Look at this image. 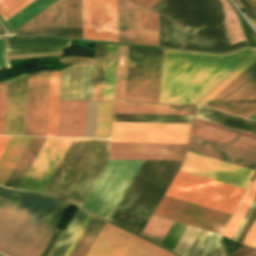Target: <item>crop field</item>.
Instances as JSON below:
<instances>
[{
  "label": "crop field",
  "mask_w": 256,
  "mask_h": 256,
  "mask_svg": "<svg viewBox=\"0 0 256 256\" xmlns=\"http://www.w3.org/2000/svg\"><path fill=\"white\" fill-rule=\"evenodd\" d=\"M5 188L4 187H0V197L2 195V193L4 192Z\"/></svg>",
  "instance_id": "65"
},
{
  "label": "crop field",
  "mask_w": 256,
  "mask_h": 256,
  "mask_svg": "<svg viewBox=\"0 0 256 256\" xmlns=\"http://www.w3.org/2000/svg\"><path fill=\"white\" fill-rule=\"evenodd\" d=\"M8 51H31L54 49L70 45V40L52 38H29V39H8L5 40Z\"/></svg>",
  "instance_id": "31"
},
{
  "label": "crop field",
  "mask_w": 256,
  "mask_h": 256,
  "mask_svg": "<svg viewBox=\"0 0 256 256\" xmlns=\"http://www.w3.org/2000/svg\"><path fill=\"white\" fill-rule=\"evenodd\" d=\"M9 34L6 32V30L3 28V26L0 23V36H8Z\"/></svg>",
  "instance_id": "64"
},
{
  "label": "crop field",
  "mask_w": 256,
  "mask_h": 256,
  "mask_svg": "<svg viewBox=\"0 0 256 256\" xmlns=\"http://www.w3.org/2000/svg\"><path fill=\"white\" fill-rule=\"evenodd\" d=\"M50 72L36 73L31 135L46 136Z\"/></svg>",
  "instance_id": "23"
},
{
  "label": "crop field",
  "mask_w": 256,
  "mask_h": 256,
  "mask_svg": "<svg viewBox=\"0 0 256 256\" xmlns=\"http://www.w3.org/2000/svg\"><path fill=\"white\" fill-rule=\"evenodd\" d=\"M218 238L219 235L201 229L186 256H225Z\"/></svg>",
  "instance_id": "30"
},
{
  "label": "crop field",
  "mask_w": 256,
  "mask_h": 256,
  "mask_svg": "<svg viewBox=\"0 0 256 256\" xmlns=\"http://www.w3.org/2000/svg\"><path fill=\"white\" fill-rule=\"evenodd\" d=\"M186 226L187 225L173 222L171 228L169 229L166 237L162 242V245H165L173 250ZM198 231V228L187 226L173 251L177 252L181 256H185Z\"/></svg>",
  "instance_id": "29"
},
{
  "label": "crop field",
  "mask_w": 256,
  "mask_h": 256,
  "mask_svg": "<svg viewBox=\"0 0 256 256\" xmlns=\"http://www.w3.org/2000/svg\"><path fill=\"white\" fill-rule=\"evenodd\" d=\"M195 117L256 134V122L197 105Z\"/></svg>",
  "instance_id": "28"
},
{
  "label": "crop field",
  "mask_w": 256,
  "mask_h": 256,
  "mask_svg": "<svg viewBox=\"0 0 256 256\" xmlns=\"http://www.w3.org/2000/svg\"><path fill=\"white\" fill-rule=\"evenodd\" d=\"M149 9L182 24V47L220 52L246 45H231L222 15L212 0H161Z\"/></svg>",
  "instance_id": "2"
},
{
  "label": "crop field",
  "mask_w": 256,
  "mask_h": 256,
  "mask_svg": "<svg viewBox=\"0 0 256 256\" xmlns=\"http://www.w3.org/2000/svg\"><path fill=\"white\" fill-rule=\"evenodd\" d=\"M190 124L112 122L111 141L186 143Z\"/></svg>",
  "instance_id": "10"
},
{
  "label": "crop field",
  "mask_w": 256,
  "mask_h": 256,
  "mask_svg": "<svg viewBox=\"0 0 256 256\" xmlns=\"http://www.w3.org/2000/svg\"><path fill=\"white\" fill-rule=\"evenodd\" d=\"M118 41L134 43V4L117 0Z\"/></svg>",
  "instance_id": "33"
},
{
  "label": "crop field",
  "mask_w": 256,
  "mask_h": 256,
  "mask_svg": "<svg viewBox=\"0 0 256 256\" xmlns=\"http://www.w3.org/2000/svg\"><path fill=\"white\" fill-rule=\"evenodd\" d=\"M256 85V60L218 93L206 106L227 111Z\"/></svg>",
  "instance_id": "20"
},
{
  "label": "crop field",
  "mask_w": 256,
  "mask_h": 256,
  "mask_svg": "<svg viewBox=\"0 0 256 256\" xmlns=\"http://www.w3.org/2000/svg\"><path fill=\"white\" fill-rule=\"evenodd\" d=\"M9 64L6 59L4 43L0 40V69L9 68Z\"/></svg>",
  "instance_id": "59"
},
{
  "label": "crop field",
  "mask_w": 256,
  "mask_h": 256,
  "mask_svg": "<svg viewBox=\"0 0 256 256\" xmlns=\"http://www.w3.org/2000/svg\"><path fill=\"white\" fill-rule=\"evenodd\" d=\"M97 102L87 101L85 137H95Z\"/></svg>",
  "instance_id": "52"
},
{
  "label": "crop field",
  "mask_w": 256,
  "mask_h": 256,
  "mask_svg": "<svg viewBox=\"0 0 256 256\" xmlns=\"http://www.w3.org/2000/svg\"><path fill=\"white\" fill-rule=\"evenodd\" d=\"M59 71L51 72L47 136H55Z\"/></svg>",
  "instance_id": "44"
},
{
  "label": "crop field",
  "mask_w": 256,
  "mask_h": 256,
  "mask_svg": "<svg viewBox=\"0 0 256 256\" xmlns=\"http://www.w3.org/2000/svg\"><path fill=\"white\" fill-rule=\"evenodd\" d=\"M242 10L246 13L247 16L249 17H252L254 19H256V13L255 12H252V11H249V10H246L244 8H242Z\"/></svg>",
  "instance_id": "63"
},
{
  "label": "crop field",
  "mask_w": 256,
  "mask_h": 256,
  "mask_svg": "<svg viewBox=\"0 0 256 256\" xmlns=\"http://www.w3.org/2000/svg\"><path fill=\"white\" fill-rule=\"evenodd\" d=\"M22 192L7 189L0 199V230L17 203Z\"/></svg>",
  "instance_id": "47"
},
{
  "label": "crop field",
  "mask_w": 256,
  "mask_h": 256,
  "mask_svg": "<svg viewBox=\"0 0 256 256\" xmlns=\"http://www.w3.org/2000/svg\"><path fill=\"white\" fill-rule=\"evenodd\" d=\"M91 215L88 214L87 218L85 219L84 223L82 224L81 228L79 229L78 233L76 234L75 238L73 239L71 245L69 246L68 250L66 251L64 256H69L73 247L75 246L77 240L79 239L80 235L82 234L84 228L86 227L87 223L89 222Z\"/></svg>",
  "instance_id": "57"
},
{
  "label": "crop field",
  "mask_w": 256,
  "mask_h": 256,
  "mask_svg": "<svg viewBox=\"0 0 256 256\" xmlns=\"http://www.w3.org/2000/svg\"><path fill=\"white\" fill-rule=\"evenodd\" d=\"M72 138H47L19 188L43 192Z\"/></svg>",
  "instance_id": "14"
},
{
  "label": "crop field",
  "mask_w": 256,
  "mask_h": 256,
  "mask_svg": "<svg viewBox=\"0 0 256 256\" xmlns=\"http://www.w3.org/2000/svg\"><path fill=\"white\" fill-rule=\"evenodd\" d=\"M53 198L23 192L0 231V252L21 256Z\"/></svg>",
  "instance_id": "5"
},
{
  "label": "crop field",
  "mask_w": 256,
  "mask_h": 256,
  "mask_svg": "<svg viewBox=\"0 0 256 256\" xmlns=\"http://www.w3.org/2000/svg\"><path fill=\"white\" fill-rule=\"evenodd\" d=\"M33 0H0V15L5 20Z\"/></svg>",
  "instance_id": "51"
},
{
  "label": "crop field",
  "mask_w": 256,
  "mask_h": 256,
  "mask_svg": "<svg viewBox=\"0 0 256 256\" xmlns=\"http://www.w3.org/2000/svg\"><path fill=\"white\" fill-rule=\"evenodd\" d=\"M146 8L150 7L151 5L155 4L159 0H132Z\"/></svg>",
  "instance_id": "61"
},
{
  "label": "crop field",
  "mask_w": 256,
  "mask_h": 256,
  "mask_svg": "<svg viewBox=\"0 0 256 256\" xmlns=\"http://www.w3.org/2000/svg\"><path fill=\"white\" fill-rule=\"evenodd\" d=\"M186 144L111 142L110 158L183 160Z\"/></svg>",
  "instance_id": "15"
},
{
  "label": "crop field",
  "mask_w": 256,
  "mask_h": 256,
  "mask_svg": "<svg viewBox=\"0 0 256 256\" xmlns=\"http://www.w3.org/2000/svg\"><path fill=\"white\" fill-rule=\"evenodd\" d=\"M87 213L77 209L51 256H63L69 244L86 218Z\"/></svg>",
  "instance_id": "37"
},
{
  "label": "crop field",
  "mask_w": 256,
  "mask_h": 256,
  "mask_svg": "<svg viewBox=\"0 0 256 256\" xmlns=\"http://www.w3.org/2000/svg\"><path fill=\"white\" fill-rule=\"evenodd\" d=\"M171 224L172 221L152 215L144 228L142 235L161 244Z\"/></svg>",
  "instance_id": "45"
},
{
  "label": "crop field",
  "mask_w": 256,
  "mask_h": 256,
  "mask_svg": "<svg viewBox=\"0 0 256 256\" xmlns=\"http://www.w3.org/2000/svg\"><path fill=\"white\" fill-rule=\"evenodd\" d=\"M190 134L256 154V135L254 134L195 117Z\"/></svg>",
  "instance_id": "16"
},
{
  "label": "crop field",
  "mask_w": 256,
  "mask_h": 256,
  "mask_svg": "<svg viewBox=\"0 0 256 256\" xmlns=\"http://www.w3.org/2000/svg\"><path fill=\"white\" fill-rule=\"evenodd\" d=\"M62 233H63L62 230L55 229L54 233L52 234V236L49 239L48 243L46 244L45 248L41 252L40 256H50L52 250L54 249L55 245L57 244Z\"/></svg>",
  "instance_id": "54"
},
{
  "label": "crop field",
  "mask_w": 256,
  "mask_h": 256,
  "mask_svg": "<svg viewBox=\"0 0 256 256\" xmlns=\"http://www.w3.org/2000/svg\"><path fill=\"white\" fill-rule=\"evenodd\" d=\"M86 101H59L56 136L84 137Z\"/></svg>",
  "instance_id": "21"
},
{
  "label": "crop field",
  "mask_w": 256,
  "mask_h": 256,
  "mask_svg": "<svg viewBox=\"0 0 256 256\" xmlns=\"http://www.w3.org/2000/svg\"><path fill=\"white\" fill-rule=\"evenodd\" d=\"M255 195H256V178L253 181L252 185L250 186L249 190L247 191L245 197L240 203L238 209L236 210L235 214L233 215L231 221L229 222L223 234L232 238L235 230L237 229L239 223L241 222L244 214L246 213Z\"/></svg>",
  "instance_id": "43"
},
{
  "label": "crop field",
  "mask_w": 256,
  "mask_h": 256,
  "mask_svg": "<svg viewBox=\"0 0 256 256\" xmlns=\"http://www.w3.org/2000/svg\"><path fill=\"white\" fill-rule=\"evenodd\" d=\"M83 38L117 41L116 0H82Z\"/></svg>",
  "instance_id": "13"
},
{
  "label": "crop field",
  "mask_w": 256,
  "mask_h": 256,
  "mask_svg": "<svg viewBox=\"0 0 256 256\" xmlns=\"http://www.w3.org/2000/svg\"><path fill=\"white\" fill-rule=\"evenodd\" d=\"M159 45L180 47L179 25L159 16Z\"/></svg>",
  "instance_id": "41"
},
{
  "label": "crop field",
  "mask_w": 256,
  "mask_h": 256,
  "mask_svg": "<svg viewBox=\"0 0 256 256\" xmlns=\"http://www.w3.org/2000/svg\"><path fill=\"white\" fill-rule=\"evenodd\" d=\"M7 81L0 83V134H3Z\"/></svg>",
  "instance_id": "53"
},
{
  "label": "crop field",
  "mask_w": 256,
  "mask_h": 256,
  "mask_svg": "<svg viewBox=\"0 0 256 256\" xmlns=\"http://www.w3.org/2000/svg\"><path fill=\"white\" fill-rule=\"evenodd\" d=\"M255 205H256V197L254 198L252 204L250 205V207H249L247 213L245 214L242 222L240 223L238 229L236 230V232H235V234L233 236V239L236 240L238 234L240 233L242 227L244 226L245 222L247 221V219H248L249 215L251 214V212H252L253 208L255 207Z\"/></svg>",
  "instance_id": "58"
},
{
  "label": "crop field",
  "mask_w": 256,
  "mask_h": 256,
  "mask_svg": "<svg viewBox=\"0 0 256 256\" xmlns=\"http://www.w3.org/2000/svg\"><path fill=\"white\" fill-rule=\"evenodd\" d=\"M35 73L28 74L24 135H30Z\"/></svg>",
  "instance_id": "50"
},
{
  "label": "crop field",
  "mask_w": 256,
  "mask_h": 256,
  "mask_svg": "<svg viewBox=\"0 0 256 256\" xmlns=\"http://www.w3.org/2000/svg\"><path fill=\"white\" fill-rule=\"evenodd\" d=\"M111 102H98L96 137H109Z\"/></svg>",
  "instance_id": "46"
},
{
  "label": "crop field",
  "mask_w": 256,
  "mask_h": 256,
  "mask_svg": "<svg viewBox=\"0 0 256 256\" xmlns=\"http://www.w3.org/2000/svg\"><path fill=\"white\" fill-rule=\"evenodd\" d=\"M135 43L158 45V15L136 4Z\"/></svg>",
  "instance_id": "25"
},
{
  "label": "crop field",
  "mask_w": 256,
  "mask_h": 256,
  "mask_svg": "<svg viewBox=\"0 0 256 256\" xmlns=\"http://www.w3.org/2000/svg\"><path fill=\"white\" fill-rule=\"evenodd\" d=\"M128 46L118 45L114 100L124 101Z\"/></svg>",
  "instance_id": "40"
},
{
  "label": "crop field",
  "mask_w": 256,
  "mask_h": 256,
  "mask_svg": "<svg viewBox=\"0 0 256 256\" xmlns=\"http://www.w3.org/2000/svg\"><path fill=\"white\" fill-rule=\"evenodd\" d=\"M27 74L8 81L4 134L23 135Z\"/></svg>",
  "instance_id": "18"
},
{
  "label": "crop field",
  "mask_w": 256,
  "mask_h": 256,
  "mask_svg": "<svg viewBox=\"0 0 256 256\" xmlns=\"http://www.w3.org/2000/svg\"><path fill=\"white\" fill-rule=\"evenodd\" d=\"M250 118L256 119V112L250 116Z\"/></svg>",
  "instance_id": "67"
},
{
  "label": "crop field",
  "mask_w": 256,
  "mask_h": 256,
  "mask_svg": "<svg viewBox=\"0 0 256 256\" xmlns=\"http://www.w3.org/2000/svg\"><path fill=\"white\" fill-rule=\"evenodd\" d=\"M143 160H108L82 207L110 219Z\"/></svg>",
  "instance_id": "7"
},
{
  "label": "crop field",
  "mask_w": 256,
  "mask_h": 256,
  "mask_svg": "<svg viewBox=\"0 0 256 256\" xmlns=\"http://www.w3.org/2000/svg\"><path fill=\"white\" fill-rule=\"evenodd\" d=\"M235 1L239 6L256 12V0H235Z\"/></svg>",
  "instance_id": "60"
},
{
  "label": "crop field",
  "mask_w": 256,
  "mask_h": 256,
  "mask_svg": "<svg viewBox=\"0 0 256 256\" xmlns=\"http://www.w3.org/2000/svg\"><path fill=\"white\" fill-rule=\"evenodd\" d=\"M253 51L217 56L163 50L159 101L197 102Z\"/></svg>",
  "instance_id": "1"
},
{
  "label": "crop field",
  "mask_w": 256,
  "mask_h": 256,
  "mask_svg": "<svg viewBox=\"0 0 256 256\" xmlns=\"http://www.w3.org/2000/svg\"><path fill=\"white\" fill-rule=\"evenodd\" d=\"M14 34L67 37L66 0H58Z\"/></svg>",
  "instance_id": "17"
},
{
  "label": "crop field",
  "mask_w": 256,
  "mask_h": 256,
  "mask_svg": "<svg viewBox=\"0 0 256 256\" xmlns=\"http://www.w3.org/2000/svg\"><path fill=\"white\" fill-rule=\"evenodd\" d=\"M45 140L46 138L31 137L29 143L7 179L5 186L18 188Z\"/></svg>",
  "instance_id": "27"
},
{
  "label": "crop field",
  "mask_w": 256,
  "mask_h": 256,
  "mask_svg": "<svg viewBox=\"0 0 256 256\" xmlns=\"http://www.w3.org/2000/svg\"><path fill=\"white\" fill-rule=\"evenodd\" d=\"M86 256L174 255L106 221Z\"/></svg>",
  "instance_id": "9"
},
{
  "label": "crop field",
  "mask_w": 256,
  "mask_h": 256,
  "mask_svg": "<svg viewBox=\"0 0 256 256\" xmlns=\"http://www.w3.org/2000/svg\"><path fill=\"white\" fill-rule=\"evenodd\" d=\"M256 59V52L251 55L245 62H243L237 69H235L228 77H226L220 84H218L211 92H209L198 103L205 105L218 92H220L227 84H229L237 75H239L246 67H248Z\"/></svg>",
  "instance_id": "49"
},
{
  "label": "crop field",
  "mask_w": 256,
  "mask_h": 256,
  "mask_svg": "<svg viewBox=\"0 0 256 256\" xmlns=\"http://www.w3.org/2000/svg\"><path fill=\"white\" fill-rule=\"evenodd\" d=\"M30 137H12L0 158V184L4 185Z\"/></svg>",
  "instance_id": "32"
},
{
  "label": "crop field",
  "mask_w": 256,
  "mask_h": 256,
  "mask_svg": "<svg viewBox=\"0 0 256 256\" xmlns=\"http://www.w3.org/2000/svg\"><path fill=\"white\" fill-rule=\"evenodd\" d=\"M10 139L11 137H0V156L2 155Z\"/></svg>",
  "instance_id": "62"
},
{
  "label": "crop field",
  "mask_w": 256,
  "mask_h": 256,
  "mask_svg": "<svg viewBox=\"0 0 256 256\" xmlns=\"http://www.w3.org/2000/svg\"><path fill=\"white\" fill-rule=\"evenodd\" d=\"M54 1L55 0H34L5 22L11 31H14Z\"/></svg>",
  "instance_id": "35"
},
{
  "label": "crop field",
  "mask_w": 256,
  "mask_h": 256,
  "mask_svg": "<svg viewBox=\"0 0 256 256\" xmlns=\"http://www.w3.org/2000/svg\"><path fill=\"white\" fill-rule=\"evenodd\" d=\"M85 65L62 69L60 99H83Z\"/></svg>",
  "instance_id": "26"
},
{
  "label": "crop field",
  "mask_w": 256,
  "mask_h": 256,
  "mask_svg": "<svg viewBox=\"0 0 256 256\" xmlns=\"http://www.w3.org/2000/svg\"><path fill=\"white\" fill-rule=\"evenodd\" d=\"M243 244L256 247V219L246 235Z\"/></svg>",
  "instance_id": "56"
},
{
  "label": "crop field",
  "mask_w": 256,
  "mask_h": 256,
  "mask_svg": "<svg viewBox=\"0 0 256 256\" xmlns=\"http://www.w3.org/2000/svg\"><path fill=\"white\" fill-rule=\"evenodd\" d=\"M92 66L86 65L84 99L90 100Z\"/></svg>",
  "instance_id": "55"
},
{
  "label": "crop field",
  "mask_w": 256,
  "mask_h": 256,
  "mask_svg": "<svg viewBox=\"0 0 256 256\" xmlns=\"http://www.w3.org/2000/svg\"><path fill=\"white\" fill-rule=\"evenodd\" d=\"M108 139L73 138L44 192L81 206L108 160Z\"/></svg>",
  "instance_id": "3"
},
{
  "label": "crop field",
  "mask_w": 256,
  "mask_h": 256,
  "mask_svg": "<svg viewBox=\"0 0 256 256\" xmlns=\"http://www.w3.org/2000/svg\"><path fill=\"white\" fill-rule=\"evenodd\" d=\"M1 255V254H0Z\"/></svg>",
  "instance_id": "69"
},
{
  "label": "crop field",
  "mask_w": 256,
  "mask_h": 256,
  "mask_svg": "<svg viewBox=\"0 0 256 256\" xmlns=\"http://www.w3.org/2000/svg\"><path fill=\"white\" fill-rule=\"evenodd\" d=\"M256 111V86L240 99L228 112L249 117Z\"/></svg>",
  "instance_id": "48"
},
{
  "label": "crop field",
  "mask_w": 256,
  "mask_h": 256,
  "mask_svg": "<svg viewBox=\"0 0 256 256\" xmlns=\"http://www.w3.org/2000/svg\"><path fill=\"white\" fill-rule=\"evenodd\" d=\"M245 189L178 171L165 196L232 214Z\"/></svg>",
  "instance_id": "6"
},
{
  "label": "crop field",
  "mask_w": 256,
  "mask_h": 256,
  "mask_svg": "<svg viewBox=\"0 0 256 256\" xmlns=\"http://www.w3.org/2000/svg\"><path fill=\"white\" fill-rule=\"evenodd\" d=\"M181 162L144 160L110 220L141 234Z\"/></svg>",
  "instance_id": "4"
},
{
  "label": "crop field",
  "mask_w": 256,
  "mask_h": 256,
  "mask_svg": "<svg viewBox=\"0 0 256 256\" xmlns=\"http://www.w3.org/2000/svg\"><path fill=\"white\" fill-rule=\"evenodd\" d=\"M251 20V22L254 24V26H256V20L249 18Z\"/></svg>",
  "instance_id": "66"
},
{
  "label": "crop field",
  "mask_w": 256,
  "mask_h": 256,
  "mask_svg": "<svg viewBox=\"0 0 256 256\" xmlns=\"http://www.w3.org/2000/svg\"><path fill=\"white\" fill-rule=\"evenodd\" d=\"M68 37L82 38L81 0H67Z\"/></svg>",
  "instance_id": "42"
},
{
  "label": "crop field",
  "mask_w": 256,
  "mask_h": 256,
  "mask_svg": "<svg viewBox=\"0 0 256 256\" xmlns=\"http://www.w3.org/2000/svg\"><path fill=\"white\" fill-rule=\"evenodd\" d=\"M154 214L219 233H222L230 217V214L165 196Z\"/></svg>",
  "instance_id": "11"
},
{
  "label": "crop field",
  "mask_w": 256,
  "mask_h": 256,
  "mask_svg": "<svg viewBox=\"0 0 256 256\" xmlns=\"http://www.w3.org/2000/svg\"><path fill=\"white\" fill-rule=\"evenodd\" d=\"M188 151L256 170V155L195 136L189 137Z\"/></svg>",
  "instance_id": "19"
},
{
  "label": "crop field",
  "mask_w": 256,
  "mask_h": 256,
  "mask_svg": "<svg viewBox=\"0 0 256 256\" xmlns=\"http://www.w3.org/2000/svg\"><path fill=\"white\" fill-rule=\"evenodd\" d=\"M105 44L97 43L91 100H102Z\"/></svg>",
  "instance_id": "36"
},
{
  "label": "crop field",
  "mask_w": 256,
  "mask_h": 256,
  "mask_svg": "<svg viewBox=\"0 0 256 256\" xmlns=\"http://www.w3.org/2000/svg\"><path fill=\"white\" fill-rule=\"evenodd\" d=\"M195 104L114 102L113 113L193 115Z\"/></svg>",
  "instance_id": "24"
},
{
  "label": "crop field",
  "mask_w": 256,
  "mask_h": 256,
  "mask_svg": "<svg viewBox=\"0 0 256 256\" xmlns=\"http://www.w3.org/2000/svg\"><path fill=\"white\" fill-rule=\"evenodd\" d=\"M193 116L113 114L112 121L191 123Z\"/></svg>",
  "instance_id": "38"
},
{
  "label": "crop field",
  "mask_w": 256,
  "mask_h": 256,
  "mask_svg": "<svg viewBox=\"0 0 256 256\" xmlns=\"http://www.w3.org/2000/svg\"><path fill=\"white\" fill-rule=\"evenodd\" d=\"M180 171L213 179L230 185L247 188L254 170L205 157L192 152H186Z\"/></svg>",
  "instance_id": "12"
},
{
  "label": "crop field",
  "mask_w": 256,
  "mask_h": 256,
  "mask_svg": "<svg viewBox=\"0 0 256 256\" xmlns=\"http://www.w3.org/2000/svg\"><path fill=\"white\" fill-rule=\"evenodd\" d=\"M104 221L92 216L70 256H85Z\"/></svg>",
  "instance_id": "39"
},
{
  "label": "crop field",
  "mask_w": 256,
  "mask_h": 256,
  "mask_svg": "<svg viewBox=\"0 0 256 256\" xmlns=\"http://www.w3.org/2000/svg\"><path fill=\"white\" fill-rule=\"evenodd\" d=\"M1 256H3V255H1Z\"/></svg>",
  "instance_id": "68"
},
{
  "label": "crop field",
  "mask_w": 256,
  "mask_h": 256,
  "mask_svg": "<svg viewBox=\"0 0 256 256\" xmlns=\"http://www.w3.org/2000/svg\"><path fill=\"white\" fill-rule=\"evenodd\" d=\"M162 50L129 46L125 101H158Z\"/></svg>",
  "instance_id": "8"
},
{
  "label": "crop field",
  "mask_w": 256,
  "mask_h": 256,
  "mask_svg": "<svg viewBox=\"0 0 256 256\" xmlns=\"http://www.w3.org/2000/svg\"><path fill=\"white\" fill-rule=\"evenodd\" d=\"M68 204L54 199L22 256H39Z\"/></svg>",
  "instance_id": "22"
},
{
  "label": "crop field",
  "mask_w": 256,
  "mask_h": 256,
  "mask_svg": "<svg viewBox=\"0 0 256 256\" xmlns=\"http://www.w3.org/2000/svg\"><path fill=\"white\" fill-rule=\"evenodd\" d=\"M117 45L106 44L103 100H113Z\"/></svg>",
  "instance_id": "34"
}]
</instances>
